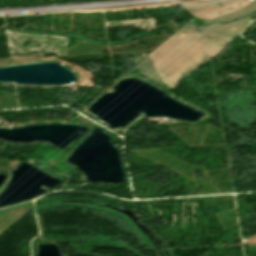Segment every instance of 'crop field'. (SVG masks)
I'll return each instance as SVG.
<instances>
[{
  "label": "crop field",
  "mask_w": 256,
  "mask_h": 256,
  "mask_svg": "<svg viewBox=\"0 0 256 256\" xmlns=\"http://www.w3.org/2000/svg\"><path fill=\"white\" fill-rule=\"evenodd\" d=\"M251 21L252 19L246 17L226 25L216 23L200 28L187 23L142 59L136 68L157 77L173 88ZM199 31L202 33L199 34ZM211 42L213 44H210Z\"/></svg>",
  "instance_id": "obj_1"
},
{
  "label": "crop field",
  "mask_w": 256,
  "mask_h": 256,
  "mask_svg": "<svg viewBox=\"0 0 256 256\" xmlns=\"http://www.w3.org/2000/svg\"><path fill=\"white\" fill-rule=\"evenodd\" d=\"M218 4L220 6H217ZM218 4L206 7H184V9L207 23L228 22L256 11V0H227Z\"/></svg>",
  "instance_id": "obj_2"
}]
</instances>
